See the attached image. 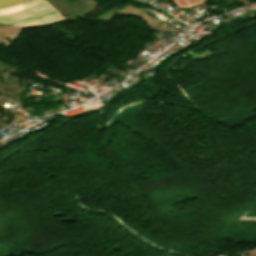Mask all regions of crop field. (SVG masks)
I'll list each match as a JSON object with an SVG mask.
<instances>
[{
	"mask_svg": "<svg viewBox=\"0 0 256 256\" xmlns=\"http://www.w3.org/2000/svg\"><path fill=\"white\" fill-rule=\"evenodd\" d=\"M24 0H0V7L19 3Z\"/></svg>",
	"mask_w": 256,
	"mask_h": 256,
	"instance_id": "obj_2",
	"label": "crop field"
},
{
	"mask_svg": "<svg viewBox=\"0 0 256 256\" xmlns=\"http://www.w3.org/2000/svg\"><path fill=\"white\" fill-rule=\"evenodd\" d=\"M90 79H93V77L91 76V77H89V78H87V79H85V80H83V81H88V80H90Z\"/></svg>",
	"mask_w": 256,
	"mask_h": 256,
	"instance_id": "obj_3",
	"label": "crop field"
},
{
	"mask_svg": "<svg viewBox=\"0 0 256 256\" xmlns=\"http://www.w3.org/2000/svg\"><path fill=\"white\" fill-rule=\"evenodd\" d=\"M64 18L56 8L44 0H30L21 4L0 8V22L15 25H31L52 22Z\"/></svg>",
	"mask_w": 256,
	"mask_h": 256,
	"instance_id": "obj_1",
	"label": "crop field"
}]
</instances>
